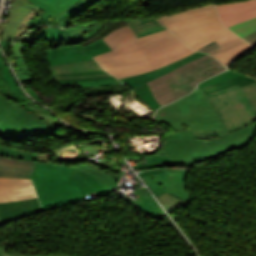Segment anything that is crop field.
<instances>
[{"label":"crop field","instance_id":"dd49c442","mask_svg":"<svg viewBox=\"0 0 256 256\" xmlns=\"http://www.w3.org/2000/svg\"><path fill=\"white\" fill-rule=\"evenodd\" d=\"M71 166L37 162L32 180L43 209L83 200L74 181L68 178Z\"/></svg>","mask_w":256,"mask_h":256},{"label":"crop field","instance_id":"bc2a9ffb","mask_svg":"<svg viewBox=\"0 0 256 256\" xmlns=\"http://www.w3.org/2000/svg\"><path fill=\"white\" fill-rule=\"evenodd\" d=\"M69 178L73 179L76 185L82 191L83 195H88L89 198L109 193L92 177L78 170L72 169L69 174Z\"/></svg>","mask_w":256,"mask_h":256},{"label":"crop field","instance_id":"eef30255","mask_svg":"<svg viewBox=\"0 0 256 256\" xmlns=\"http://www.w3.org/2000/svg\"><path fill=\"white\" fill-rule=\"evenodd\" d=\"M136 94L142 98L149 106H151L155 111L160 107L154 97L152 96L147 84H141L133 87Z\"/></svg>","mask_w":256,"mask_h":256},{"label":"crop field","instance_id":"ae1a2a85","mask_svg":"<svg viewBox=\"0 0 256 256\" xmlns=\"http://www.w3.org/2000/svg\"><path fill=\"white\" fill-rule=\"evenodd\" d=\"M0 76L2 78V80L4 81L5 84H8L10 89L16 93L18 91H20V89L18 88L14 78L11 76L8 67L3 59V55L0 51Z\"/></svg>","mask_w":256,"mask_h":256},{"label":"crop field","instance_id":"8a807250","mask_svg":"<svg viewBox=\"0 0 256 256\" xmlns=\"http://www.w3.org/2000/svg\"><path fill=\"white\" fill-rule=\"evenodd\" d=\"M102 39L113 50L94 58L118 79L152 71L195 52L168 29L137 38L125 26Z\"/></svg>","mask_w":256,"mask_h":256},{"label":"crop field","instance_id":"750c4746","mask_svg":"<svg viewBox=\"0 0 256 256\" xmlns=\"http://www.w3.org/2000/svg\"><path fill=\"white\" fill-rule=\"evenodd\" d=\"M157 198L161 202V204H163V207L166 209V211L168 213L173 211L174 209L186 204V203L172 197L171 195H169L166 192L163 193L162 195L158 196Z\"/></svg>","mask_w":256,"mask_h":256},{"label":"crop field","instance_id":"d9b57169","mask_svg":"<svg viewBox=\"0 0 256 256\" xmlns=\"http://www.w3.org/2000/svg\"><path fill=\"white\" fill-rule=\"evenodd\" d=\"M40 210L37 198L16 202H2L0 203V224Z\"/></svg>","mask_w":256,"mask_h":256},{"label":"crop field","instance_id":"d32e631a","mask_svg":"<svg viewBox=\"0 0 256 256\" xmlns=\"http://www.w3.org/2000/svg\"><path fill=\"white\" fill-rule=\"evenodd\" d=\"M236 75H240V74H237V73H234V72H231V71H226V72H223V73H221V74H219L215 77H212L210 79H207V80L201 82L199 84V86L200 87L206 86V85H209V84L215 83L217 81H220V80L232 77V76H236Z\"/></svg>","mask_w":256,"mask_h":256},{"label":"crop field","instance_id":"22f410ed","mask_svg":"<svg viewBox=\"0 0 256 256\" xmlns=\"http://www.w3.org/2000/svg\"><path fill=\"white\" fill-rule=\"evenodd\" d=\"M226 27L256 17V0L216 5Z\"/></svg>","mask_w":256,"mask_h":256},{"label":"crop field","instance_id":"214f88e0","mask_svg":"<svg viewBox=\"0 0 256 256\" xmlns=\"http://www.w3.org/2000/svg\"><path fill=\"white\" fill-rule=\"evenodd\" d=\"M134 194L139 198L131 201V203L152 219L166 214L146 188L138 189L134 191Z\"/></svg>","mask_w":256,"mask_h":256},{"label":"crop field","instance_id":"73cf0c24","mask_svg":"<svg viewBox=\"0 0 256 256\" xmlns=\"http://www.w3.org/2000/svg\"><path fill=\"white\" fill-rule=\"evenodd\" d=\"M136 167L138 168H144V167H148L147 164H139V165H134L133 168L136 169Z\"/></svg>","mask_w":256,"mask_h":256},{"label":"crop field","instance_id":"5a996713","mask_svg":"<svg viewBox=\"0 0 256 256\" xmlns=\"http://www.w3.org/2000/svg\"><path fill=\"white\" fill-rule=\"evenodd\" d=\"M40 12L28 0H13L8 24L0 22V40H17L31 29L27 22Z\"/></svg>","mask_w":256,"mask_h":256},{"label":"crop field","instance_id":"733c2abd","mask_svg":"<svg viewBox=\"0 0 256 256\" xmlns=\"http://www.w3.org/2000/svg\"><path fill=\"white\" fill-rule=\"evenodd\" d=\"M35 162L0 156V177L30 178Z\"/></svg>","mask_w":256,"mask_h":256},{"label":"crop field","instance_id":"d1516ede","mask_svg":"<svg viewBox=\"0 0 256 256\" xmlns=\"http://www.w3.org/2000/svg\"><path fill=\"white\" fill-rule=\"evenodd\" d=\"M142 179L155 196L166 191L186 203L194 198L185 191V177H168L163 174H156Z\"/></svg>","mask_w":256,"mask_h":256},{"label":"crop field","instance_id":"5142ce71","mask_svg":"<svg viewBox=\"0 0 256 256\" xmlns=\"http://www.w3.org/2000/svg\"><path fill=\"white\" fill-rule=\"evenodd\" d=\"M100 66L94 61H84L71 64H65L60 66L50 67L51 75L54 80L56 79H89V78H101L111 76L108 73L95 74V75H81V76H57L56 74L62 73H74V72H88V71H101Z\"/></svg>","mask_w":256,"mask_h":256},{"label":"crop field","instance_id":"25e5ab78","mask_svg":"<svg viewBox=\"0 0 256 256\" xmlns=\"http://www.w3.org/2000/svg\"><path fill=\"white\" fill-rule=\"evenodd\" d=\"M113 178H115L117 181L118 179L121 177V175L117 174V173H109Z\"/></svg>","mask_w":256,"mask_h":256},{"label":"crop field","instance_id":"c035e120","mask_svg":"<svg viewBox=\"0 0 256 256\" xmlns=\"http://www.w3.org/2000/svg\"><path fill=\"white\" fill-rule=\"evenodd\" d=\"M243 38L250 42L254 47L256 46V31Z\"/></svg>","mask_w":256,"mask_h":256},{"label":"crop field","instance_id":"92a150f3","mask_svg":"<svg viewBox=\"0 0 256 256\" xmlns=\"http://www.w3.org/2000/svg\"><path fill=\"white\" fill-rule=\"evenodd\" d=\"M137 37L148 35L166 29L157 19H130L125 20Z\"/></svg>","mask_w":256,"mask_h":256},{"label":"crop field","instance_id":"028f5c9d","mask_svg":"<svg viewBox=\"0 0 256 256\" xmlns=\"http://www.w3.org/2000/svg\"><path fill=\"white\" fill-rule=\"evenodd\" d=\"M51 19H53L51 16L42 12L39 15L33 17V19L28 22V25L34 27L36 25H40L42 22L46 20H51Z\"/></svg>","mask_w":256,"mask_h":256},{"label":"crop field","instance_id":"4a817a6b","mask_svg":"<svg viewBox=\"0 0 256 256\" xmlns=\"http://www.w3.org/2000/svg\"><path fill=\"white\" fill-rule=\"evenodd\" d=\"M205 53H199V52H195L183 59H180L176 62H173L171 64H168L160 69H157L155 71H152V72H148V73H144V74H140V75H136V76H132V77H128V78H124V79H120L122 81H124L125 83H127L128 85H130L131 87L135 86V85H138V84H141V83H145L149 80H152V79H155L157 77H159L160 75L176 68V67H179L180 65L198 57V56H201Z\"/></svg>","mask_w":256,"mask_h":256},{"label":"crop field","instance_id":"34b2d1b8","mask_svg":"<svg viewBox=\"0 0 256 256\" xmlns=\"http://www.w3.org/2000/svg\"><path fill=\"white\" fill-rule=\"evenodd\" d=\"M159 20L192 49L212 54L224 65L253 48L222 25L214 4Z\"/></svg>","mask_w":256,"mask_h":256},{"label":"crop field","instance_id":"89e229c0","mask_svg":"<svg viewBox=\"0 0 256 256\" xmlns=\"http://www.w3.org/2000/svg\"><path fill=\"white\" fill-rule=\"evenodd\" d=\"M251 104H252V106L254 107V109H255V111H256V100L251 101Z\"/></svg>","mask_w":256,"mask_h":256},{"label":"crop field","instance_id":"bd1437ed","mask_svg":"<svg viewBox=\"0 0 256 256\" xmlns=\"http://www.w3.org/2000/svg\"><path fill=\"white\" fill-rule=\"evenodd\" d=\"M229 29L242 37L256 30V18L240 23L238 25L229 27Z\"/></svg>","mask_w":256,"mask_h":256},{"label":"crop field","instance_id":"412701ff","mask_svg":"<svg viewBox=\"0 0 256 256\" xmlns=\"http://www.w3.org/2000/svg\"><path fill=\"white\" fill-rule=\"evenodd\" d=\"M25 103L36 112H28L0 93V137L15 141H22L26 136L55 137L59 132V126L63 123L55 119L47 109L33 101L29 100Z\"/></svg>","mask_w":256,"mask_h":256},{"label":"crop field","instance_id":"c21b1889","mask_svg":"<svg viewBox=\"0 0 256 256\" xmlns=\"http://www.w3.org/2000/svg\"><path fill=\"white\" fill-rule=\"evenodd\" d=\"M0 256H7L5 248L0 247ZM10 256H31V255H10ZM40 256H67V255H40Z\"/></svg>","mask_w":256,"mask_h":256},{"label":"crop field","instance_id":"b80d0937","mask_svg":"<svg viewBox=\"0 0 256 256\" xmlns=\"http://www.w3.org/2000/svg\"><path fill=\"white\" fill-rule=\"evenodd\" d=\"M17 75L21 78V82L33 80L32 74L29 70L17 72Z\"/></svg>","mask_w":256,"mask_h":256},{"label":"crop field","instance_id":"d8731c3e","mask_svg":"<svg viewBox=\"0 0 256 256\" xmlns=\"http://www.w3.org/2000/svg\"><path fill=\"white\" fill-rule=\"evenodd\" d=\"M254 134L255 132L218 145H190V141L165 142L164 148L172 163L192 164L226 154L234 148H242Z\"/></svg>","mask_w":256,"mask_h":256},{"label":"crop field","instance_id":"a9b5d70f","mask_svg":"<svg viewBox=\"0 0 256 256\" xmlns=\"http://www.w3.org/2000/svg\"><path fill=\"white\" fill-rule=\"evenodd\" d=\"M52 16L77 0H29Z\"/></svg>","mask_w":256,"mask_h":256},{"label":"crop field","instance_id":"d3111659","mask_svg":"<svg viewBox=\"0 0 256 256\" xmlns=\"http://www.w3.org/2000/svg\"><path fill=\"white\" fill-rule=\"evenodd\" d=\"M0 155L6 156V157H12L16 159H26L31 161H36L38 154L35 153H27V152H21L19 150L7 148L0 146Z\"/></svg>","mask_w":256,"mask_h":256},{"label":"crop field","instance_id":"e52e79f7","mask_svg":"<svg viewBox=\"0 0 256 256\" xmlns=\"http://www.w3.org/2000/svg\"><path fill=\"white\" fill-rule=\"evenodd\" d=\"M209 97L229 131L256 121V112L249 102L256 99V82L242 88L237 85Z\"/></svg>","mask_w":256,"mask_h":256},{"label":"crop field","instance_id":"4177f3b9","mask_svg":"<svg viewBox=\"0 0 256 256\" xmlns=\"http://www.w3.org/2000/svg\"><path fill=\"white\" fill-rule=\"evenodd\" d=\"M26 43L15 42L12 49V60L17 68V70L28 69L25 58H24V49Z\"/></svg>","mask_w":256,"mask_h":256},{"label":"crop field","instance_id":"730fd06b","mask_svg":"<svg viewBox=\"0 0 256 256\" xmlns=\"http://www.w3.org/2000/svg\"><path fill=\"white\" fill-rule=\"evenodd\" d=\"M0 92L6 96H8L11 100L18 103L22 107L26 108L29 111L34 112L31 108H29L27 105H25L23 102L29 100V98L23 93V91H20L16 94H14L8 87V85H4L1 78H0Z\"/></svg>","mask_w":256,"mask_h":256},{"label":"crop field","instance_id":"dafd665d","mask_svg":"<svg viewBox=\"0 0 256 256\" xmlns=\"http://www.w3.org/2000/svg\"><path fill=\"white\" fill-rule=\"evenodd\" d=\"M95 0H80L74 3L72 6L65 8L54 17L60 23L62 27L68 25L69 20L78 12L86 9L90 6Z\"/></svg>","mask_w":256,"mask_h":256},{"label":"crop field","instance_id":"1d83c4d3","mask_svg":"<svg viewBox=\"0 0 256 256\" xmlns=\"http://www.w3.org/2000/svg\"><path fill=\"white\" fill-rule=\"evenodd\" d=\"M188 170H173V169H164V170H151V171H146L139 173L138 175L140 177L150 175V174H155V173H163L168 176H186Z\"/></svg>","mask_w":256,"mask_h":256},{"label":"crop field","instance_id":"ac0d7876","mask_svg":"<svg viewBox=\"0 0 256 256\" xmlns=\"http://www.w3.org/2000/svg\"><path fill=\"white\" fill-rule=\"evenodd\" d=\"M155 121L173 131L165 141L191 140V144H218L256 131V123L229 133L216 109L200 88L156 111Z\"/></svg>","mask_w":256,"mask_h":256},{"label":"crop field","instance_id":"d23c7cc5","mask_svg":"<svg viewBox=\"0 0 256 256\" xmlns=\"http://www.w3.org/2000/svg\"><path fill=\"white\" fill-rule=\"evenodd\" d=\"M159 155H167L164 148H162L161 150H159L155 155L153 156H159Z\"/></svg>","mask_w":256,"mask_h":256},{"label":"crop field","instance_id":"5d738f31","mask_svg":"<svg viewBox=\"0 0 256 256\" xmlns=\"http://www.w3.org/2000/svg\"><path fill=\"white\" fill-rule=\"evenodd\" d=\"M105 71H101V72H89V73H75V74H63V75H81V74H95V73H103Z\"/></svg>","mask_w":256,"mask_h":256},{"label":"crop field","instance_id":"120bbe31","mask_svg":"<svg viewBox=\"0 0 256 256\" xmlns=\"http://www.w3.org/2000/svg\"><path fill=\"white\" fill-rule=\"evenodd\" d=\"M149 167L154 165H170V166H194L193 165H174L168 159L167 156H160V157H145Z\"/></svg>","mask_w":256,"mask_h":256},{"label":"crop field","instance_id":"425ffa30","mask_svg":"<svg viewBox=\"0 0 256 256\" xmlns=\"http://www.w3.org/2000/svg\"><path fill=\"white\" fill-rule=\"evenodd\" d=\"M102 79H114V77L102 78ZM90 80H98V79H90ZM60 81H86V80H60Z\"/></svg>","mask_w":256,"mask_h":256},{"label":"crop field","instance_id":"03da06ac","mask_svg":"<svg viewBox=\"0 0 256 256\" xmlns=\"http://www.w3.org/2000/svg\"><path fill=\"white\" fill-rule=\"evenodd\" d=\"M30 95L31 97L36 100L37 102L41 103L43 102L42 99L37 95V93L32 89H28L26 90Z\"/></svg>","mask_w":256,"mask_h":256},{"label":"crop field","instance_id":"5866460e","mask_svg":"<svg viewBox=\"0 0 256 256\" xmlns=\"http://www.w3.org/2000/svg\"><path fill=\"white\" fill-rule=\"evenodd\" d=\"M79 166H81V167H83V168H85L87 170H90V171L96 173L97 175H99L100 177H102L106 182H108L113 187V189L118 185L116 180H114L111 176H109V175H107L105 173L99 172V171H97V170H95V169H93V168H91L89 166H86V165L80 164Z\"/></svg>","mask_w":256,"mask_h":256},{"label":"crop field","instance_id":"3316defc","mask_svg":"<svg viewBox=\"0 0 256 256\" xmlns=\"http://www.w3.org/2000/svg\"><path fill=\"white\" fill-rule=\"evenodd\" d=\"M111 50V48L100 39L83 47L82 44L73 46H60L47 50L49 66L65 63L90 60L96 54Z\"/></svg>","mask_w":256,"mask_h":256},{"label":"crop field","instance_id":"b54c1fbb","mask_svg":"<svg viewBox=\"0 0 256 256\" xmlns=\"http://www.w3.org/2000/svg\"><path fill=\"white\" fill-rule=\"evenodd\" d=\"M4 50V53L10 52L11 41H0Z\"/></svg>","mask_w":256,"mask_h":256},{"label":"crop field","instance_id":"28ad6ade","mask_svg":"<svg viewBox=\"0 0 256 256\" xmlns=\"http://www.w3.org/2000/svg\"><path fill=\"white\" fill-rule=\"evenodd\" d=\"M102 28V24L94 22L78 25L68 30L49 27L40 32L45 36V41L55 42L64 40L66 45H73L81 43V41L95 35ZM92 29H94V31H92Z\"/></svg>","mask_w":256,"mask_h":256},{"label":"crop field","instance_id":"e1f06a70","mask_svg":"<svg viewBox=\"0 0 256 256\" xmlns=\"http://www.w3.org/2000/svg\"><path fill=\"white\" fill-rule=\"evenodd\" d=\"M72 168H75V169H78V170H80V171H83V172L88 173V174L91 175L95 180H97L98 182H100L109 192H110L111 190H113L112 187H111L108 183H106L102 178H100L99 176H97V175H95V174H93V173H91V172H89V171H87V170H84V169H82V168H80V167L72 166Z\"/></svg>","mask_w":256,"mask_h":256},{"label":"crop field","instance_id":"0bd39190","mask_svg":"<svg viewBox=\"0 0 256 256\" xmlns=\"http://www.w3.org/2000/svg\"><path fill=\"white\" fill-rule=\"evenodd\" d=\"M36 38H37L36 33L34 30H32L29 33H27L24 37L19 39V41L26 42V43H32Z\"/></svg>","mask_w":256,"mask_h":256},{"label":"crop field","instance_id":"00972430","mask_svg":"<svg viewBox=\"0 0 256 256\" xmlns=\"http://www.w3.org/2000/svg\"><path fill=\"white\" fill-rule=\"evenodd\" d=\"M255 81L256 80L253 78L240 75V76L232 77V78L220 81L218 83L203 87V89L207 94H210V93H214L237 84H239L240 87H242L247 84L253 83Z\"/></svg>","mask_w":256,"mask_h":256},{"label":"crop field","instance_id":"cbeb9de0","mask_svg":"<svg viewBox=\"0 0 256 256\" xmlns=\"http://www.w3.org/2000/svg\"><path fill=\"white\" fill-rule=\"evenodd\" d=\"M37 197L30 179L0 178V202Z\"/></svg>","mask_w":256,"mask_h":256},{"label":"crop field","instance_id":"f4fd0767","mask_svg":"<svg viewBox=\"0 0 256 256\" xmlns=\"http://www.w3.org/2000/svg\"><path fill=\"white\" fill-rule=\"evenodd\" d=\"M225 70L217 60L205 54L155 80L148 85L160 106L192 91L199 81Z\"/></svg>","mask_w":256,"mask_h":256}]
</instances>
